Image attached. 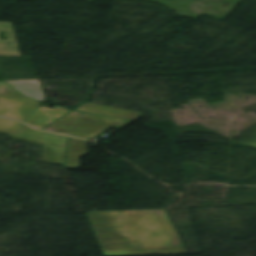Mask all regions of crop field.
<instances>
[{
  "instance_id": "dd49c442",
  "label": "crop field",
  "mask_w": 256,
  "mask_h": 256,
  "mask_svg": "<svg viewBox=\"0 0 256 256\" xmlns=\"http://www.w3.org/2000/svg\"><path fill=\"white\" fill-rule=\"evenodd\" d=\"M69 111L57 106L53 109L39 106L25 123L40 129Z\"/></svg>"
},
{
  "instance_id": "f4fd0767",
  "label": "crop field",
  "mask_w": 256,
  "mask_h": 256,
  "mask_svg": "<svg viewBox=\"0 0 256 256\" xmlns=\"http://www.w3.org/2000/svg\"><path fill=\"white\" fill-rule=\"evenodd\" d=\"M76 110L84 113H90L95 115H101V116H107V117H113V118H119V119L131 120V121H134L143 115V113L123 110V109H118L113 107L89 104V103L83 104Z\"/></svg>"
},
{
  "instance_id": "ac0d7876",
  "label": "crop field",
  "mask_w": 256,
  "mask_h": 256,
  "mask_svg": "<svg viewBox=\"0 0 256 256\" xmlns=\"http://www.w3.org/2000/svg\"><path fill=\"white\" fill-rule=\"evenodd\" d=\"M129 123H131V121L73 111L43 128V130L90 139L111 126L120 129Z\"/></svg>"
},
{
  "instance_id": "d8731c3e",
  "label": "crop field",
  "mask_w": 256,
  "mask_h": 256,
  "mask_svg": "<svg viewBox=\"0 0 256 256\" xmlns=\"http://www.w3.org/2000/svg\"><path fill=\"white\" fill-rule=\"evenodd\" d=\"M29 98L44 100L42 87L38 80L7 81Z\"/></svg>"
},
{
  "instance_id": "34b2d1b8",
  "label": "crop field",
  "mask_w": 256,
  "mask_h": 256,
  "mask_svg": "<svg viewBox=\"0 0 256 256\" xmlns=\"http://www.w3.org/2000/svg\"><path fill=\"white\" fill-rule=\"evenodd\" d=\"M11 138L44 145L42 161L61 165L64 163L68 140L66 137L42 133L23 124Z\"/></svg>"
},
{
  "instance_id": "3316defc",
  "label": "crop field",
  "mask_w": 256,
  "mask_h": 256,
  "mask_svg": "<svg viewBox=\"0 0 256 256\" xmlns=\"http://www.w3.org/2000/svg\"><path fill=\"white\" fill-rule=\"evenodd\" d=\"M0 28H14L12 23L0 22Z\"/></svg>"
},
{
  "instance_id": "8a807250",
  "label": "crop field",
  "mask_w": 256,
  "mask_h": 256,
  "mask_svg": "<svg viewBox=\"0 0 256 256\" xmlns=\"http://www.w3.org/2000/svg\"><path fill=\"white\" fill-rule=\"evenodd\" d=\"M87 214L105 256L186 253L165 210Z\"/></svg>"
},
{
  "instance_id": "412701ff",
  "label": "crop field",
  "mask_w": 256,
  "mask_h": 256,
  "mask_svg": "<svg viewBox=\"0 0 256 256\" xmlns=\"http://www.w3.org/2000/svg\"><path fill=\"white\" fill-rule=\"evenodd\" d=\"M41 102L23 97L5 82H0V116L26 121Z\"/></svg>"
},
{
  "instance_id": "5a996713",
  "label": "crop field",
  "mask_w": 256,
  "mask_h": 256,
  "mask_svg": "<svg viewBox=\"0 0 256 256\" xmlns=\"http://www.w3.org/2000/svg\"><path fill=\"white\" fill-rule=\"evenodd\" d=\"M22 123L0 118V132L10 134L12 135L14 132H16Z\"/></svg>"
},
{
  "instance_id": "e52e79f7",
  "label": "crop field",
  "mask_w": 256,
  "mask_h": 256,
  "mask_svg": "<svg viewBox=\"0 0 256 256\" xmlns=\"http://www.w3.org/2000/svg\"><path fill=\"white\" fill-rule=\"evenodd\" d=\"M87 145V141L70 137L65 167L78 168L79 157L86 154Z\"/></svg>"
}]
</instances>
